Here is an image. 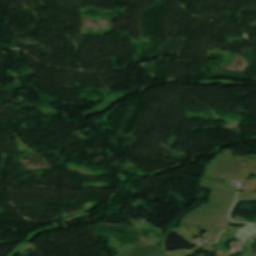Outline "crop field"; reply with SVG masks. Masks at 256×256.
Masks as SVG:
<instances>
[{"instance_id":"8a807250","label":"crop field","mask_w":256,"mask_h":256,"mask_svg":"<svg viewBox=\"0 0 256 256\" xmlns=\"http://www.w3.org/2000/svg\"><path fill=\"white\" fill-rule=\"evenodd\" d=\"M120 256H166L158 244H146L131 247L125 254Z\"/></svg>"}]
</instances>
